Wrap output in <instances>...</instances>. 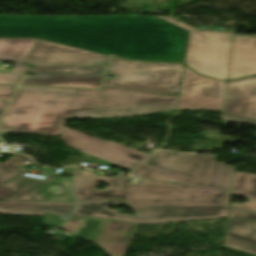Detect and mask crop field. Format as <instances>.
Masks as SVG:
<instances>
[{"instance_id": "obj_2", "label": "crop field", "mask_w": 256, "mask_h": 256, "mask_svg": "<svg viewBox=\"0 0 256 256\" xmlns=\"http://www.w3.org/2000/svg\"><path fill=\"white\" fill-rule=\"evenodd\" d=\"M178 96L103 87L102 90L19 87L1 132L60 135L63 118L126 117L176 110Z\"/></svg>"}, {"instance_id": "obj_3", "label": "crop field", "mask_w": 256, "mask_h": 256, "mask_svg": "<svg viewBox=\"0 0 256 256\" xmlns=\"http://www.w3.org/2000/svg\"><path fill=\"white\" fill-rule=\"evenodd\" d=\"M129 179L81 170L74 176L76 200L124 198L127 204H229L231 191L228 190L145 179L141 184H127ZM96 181L111 184L106 190H95Z\"/></svg>"}, {"instance_id": "obj_22", "label": "crop field", "mask_w": 256, "mask_h": 256, "mask_svg": "<svg viewBox=\"0 0 256 256\" xmlns=\"http://www.w3.org/2000/svg\"><path fill=\"white\" fill-rule=\"evenodd\" d=\"M16 86L0 85V99L10 100Z\"/></svg>"}, {"instance_id": "obj_10", "label": "crop field", "mask_w": 256, "mask_h": 256, "mask_svg": "<svg viewBox=\"0 0 256 256\" xmlns=\"http://www.w3.org/2000/svg\"><path fill=\"white\" fill-rule=\"evenodd\" d=\"M61 139L70 147L80 151L87 150L95 156L112 164L133 170L147 154L126 148L114 142L97 140L88 135L64 127ZM95 157V158H96Z\"/></svg>"}, {"instance_id": "obj_21", "label": "crop field", "mask_w": 256, "mask_h": 256, "mask_svg": "<svg viewBox=\"0 0 256 256\" xmlns=\"http://www.w3.org/2000/svg\"><path fill=\"white\" fill-rule=\"evenodd\" d=\"M22 76L15 73L0 74V83L2 84H18Z\"/></svg>"}, {"instance_id": "obj_13", "label": "crop field", "mask_w": 256, "mask_h": 256, "mask_svg": "<svg viewBox=\"0 0 256 256\" xmlns=\"http://www.w3.org/2000/svg\"><path fill=\"white\" fill-rule=\"evenodd\" d=\"M224 246L256 254V213L230 208Z\"/></svg>"}, {"instance_id": "obj_16", "label": "crop field", "mask_w": 256, "mask_h": 256, "mask_svg": "<svg viewBox=\"0 0 256 256\" xmlns=\"http://www.w3.org/2000/svg\"><path fill=\"white\" fill-rule=\"evenodd\" d=\"M25 172H32V170L24 169L1 184L18 191L6 200L46 201L49 182L29 180L23 176Z\"/></svg>"}, {"instance_id": "obj_11", "label": "crop field", "mask_w": 256, "mask_h": 256, "mask_svg": "<svg viewBox=\"0 0 256 256\" xmlns=\"http://www.w3.org/2000/svg\"><path fill=\"white\" fill-rule=\"evenodd\" d=\"M109 57L37 39L24 63L31 66L107 65Z\"/></svg>"}, {"instance_id": "obj_18", "label": "crop field", "mask_w": 256, "mask_h": 256, "mask_svg": "<svg viewBox=\"0 0 256 256\" xmlns=\"http://www.w3.org/2000/svg\"><path fill=\"white\" fill-rule=\"evenodd\" d=\"M232 194L249 198L247 203L230 204V207L256 212V174L235 172Z\"/></svg>"}, {"instance_id": "obj_8", "label": "crop field", "mask_w": 256, "mask_h": 256, "mask_svg": "<svg viewBox=\"0 0 256 256\" xmlns=\"http://www.w3.org/2000/svg\"><path fill=\"white\" fill-rule=\"evenodd\" d=\"M107 66L31 67L21 84L99 88Z\"/></svg>"}, {"instance_id": "obj_6", "label": "crop field", "mask_w": 256, "mask_h": 256, "mask_svg": "<svg viewBox=\"0 0 256 256\" xmlns=\"http://www.w3.org/2000/svg\"><path fill=\"white\" fill-rule=\"evenodd\" d=\"M189 31L185 63L201 75L226 80L233 36L198 31L171 17H159Z\"/></svg>"}, {"instance_id": "obj_20", "label": "crop field", "mask_w": 256, "mask_h": 256, "mask_svg": "<svg viewBox=\"0 0 256 256\" xmlns=\"http://www.w3.org/2000/svg\"><path fill=\"white\" fill-rule=\"evenodd\" d=\"M28 159L23 155H16L4 163L0 164V183L10 178L11 176L17 174L21 170L14 168L15 165L21 163L22 161ZM17 193L14 190L8 189L0 185V198L5 200L7 197Z\"/></svg>"}, {"instance_id": "obj_12", "label": "crop field", "mask_w": 256, "mask_h": 256, "mask_svg": "<svg viewBox=\"0 0 256 256\" xmlns=\"http://www.w3.org/2000/svg\"><path fill=\"white\" fill-rule=\"evenodd\" d=\"M222 119L256 123V76L227 83Z\"/></svg>"}, {"instance_id": "obj_17", "label": "crop field", "mask_w": 256, "mask_h": 256, "mask_svg": "<svg viewBox=\"0 0 256 256\" xmlns=\"http://www.w3.org/2000/svg\"><path fill=\"white\" fill-rule=\"evenodd\" d=\"M36 39H0V60L16 63L13 71L24 74L28 65L21 64Z\"/></svg>"}, {"instance_id": "obj_5", "label": "crop field", "mask_w": 256, "mask_h": 256, "mask_svg": "<svg viewBox=\"0 0 256 256\" xmlns=\"http://www.w3.org/2000/svg\"><path fill=\"white\" fill-rule=\"evenodd\" d=\"M112 80L103 86L173 95L179 92L182 64L129 62L112 57Z\"/></svg>"}, {"instance_id": "obj_19", "label": "crop field", "mask_w": 256, "mask_h": 256, "mask_svg": "<svg viewBox=\"0 0 256 256\" xmlns=\"http://www.w3.org/2000/svg\"><path fill=\"white\" fill-rule=\"evenodd\" d=\"M152 180H160L175 183H189L191 176L175 173L172 171L160 169L143 163L141 167L133 174Z\"/></svg>"}, {"instance_id": "obj_23", "label": "crop field", "mask_w": 256, "mask_h": 256, "mask_svg": "<svg viewBox=\"0 0 256 256\" xmlns=\"http://www.w3.org/2000/svg\"><path fill=\"white\" fill-rule=\"evenodd\" d=\"M8 102L0 101V118Z\"/></svg>"}, {"instance_id": "obj_14", "label": "crop field", "mask_w": 256, "mask_h": 256, "mask_svg": "<svg viewBox=\"0 0 256 256\" xmlns=\"http://www.w3.org/2000/svg\"><path fill=\"white\" fill-rule=\"evenodd\" d=\"M256 74V37L234 36L227 80Z\"/></svg>"}, {"instance_id": "obj_1", "label": "crop field", "mask_w": 256, "mask_h": 256, "mask_svg": "<svg viewBox=\"0 0 256 256\" xmlns=\"http://www.w3.org/2000/svg\"><path fill=\"white\" fill-rule=\"evenodd\" d=\"M187 36L157 17L0 15V37H38L130 60L184 63Z\"/></svg>"}, {"instance_id": "obj_15", "label": "crop field", "mask_w": 256, "mask_h": 256, "mask_svg": "<svg viewBox=\"0 0 256 256\" xmlns=\"http://www.w3.org/2000/svg\"><path fill=\"white\" fill-rule=\"evenodd\" d=\"M73 208L71 203H35L0 201V214L43 216L44 212L66 216Z\"/></svg>"}, {"instance_id": "obj_24", "label": "crop field", "mask_w": 256, "mask_h": 256, "mask_svg": "<svg viewBox=\"0 0 256 256\" xmlns=\"http://www.w3.org/2000/svg\"><path fill=\"white\" fill-rule=\"evenodd\" d=\"M84 153H87L88 156L91 157V158H93V159H96V160H99V161H103V160H100V159H98V158L93 157L94 155L91 154V153H89V152H87V151H84ZM103 162H105V161H103ZM106 163H108V162H106ZM109 164H110V163H109ZM114 166H115V165H114ZM117 167H119V166H117ZM120 168H123V167H120ZM123 169H125V168H123ZM126 170H127V169H126Z\"/></svg>"}, {"instance_id": "obj_7", "label": "crop field", "mask_w": 256, "mask_h": 256, "mask_svg": "<svg viewBox=\"0 0 256 256\" xmlns=\"http://www.w3.org/2000/svg\"><path fill=\"white\" fill-rule=\"evenodd\" d=\"M211 154L188 155L159 151L145 163L193 176L189 184L204 185L231 190L234 169L224 163L214 162Z\"/></svg>"}, {"instance_id": "obj_9", "label": "crop field", "mask_w": 256, "mask_h": 256, "mask_svg": "<svg viewBox=\"0 0 256 256\" xmlns=\"http://www.w3.org/2000/svg\"><path fill=\"white\" fill-rule=\"evenodd\" d=\"M224 89L225 82L201 77L185 67L177 109L220 111Z\"/></svg>"}, {"instance_id": "obj_4", "label": "crop field", "mask_w": 256, "mask_h": 256, "mask_svg": "<svg viewBox=\"0 0 256 256\" xmlns=\"http://www.w3.org/2000/svg\"><path fill=\"white\" fill-rule=\"evenodd\" d=\"M122 200L79 201L73 214L141 224L227 217V205H131L135 216L107 209L108 204H123Z\"/></svg>"}]
</instances>
